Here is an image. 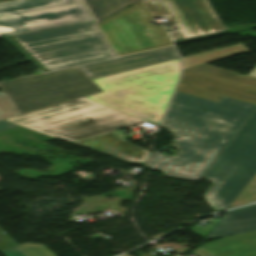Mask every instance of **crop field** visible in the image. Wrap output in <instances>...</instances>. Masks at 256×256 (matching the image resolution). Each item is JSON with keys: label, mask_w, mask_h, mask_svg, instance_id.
<instances>
[{"label": "crop field", "mask_w": 256, "mask_h": 256, "mask_svg": "<svg viewBox=\"0 0 256 256\" xmlns=\"http://www.w3.org/2000/svg\"><path fill=\"white\" fill-rule=\"evenodd\" d=\"M157 16L178 28L169 32L175 45L227 34L207 0H142L99 26L117 55L129 54L171 44L162 27H152Z\"/></svg>", "instance_id": "crop-field-1"}, {"label": "crop field", "mask_w": 256, "mask_h": 256, "mask_svg": "<svg viewBox=\"0 0 256 256\" xmlns=\"http://www.w3.org/2000/svg\"><path fill=\"white\" fill-rule=\"evenodd\" d=\"M255 110L227 97L216 103L175 92L162 127L180 141L225 148Z\"/></svg>", "instance_id": "crop-field-2"}, {"label": "crop field", "mask_w": 256, "mask_h": 256, "mask_svg": "<svg viewBox=\"0 0 256 256\" xmlns=\"http://www.w3.org/2000/svg\"><path fill=\"white\" fill-rule=\"evenodd\" d=\"M180 72L177 59L94 79L105 92L85 98L159 124Z\"/></svg>", "instance_id": "crop-field-3"}, {"label": "crop field", "mask_w": 256, "mask_h": 256, "mask_svg": "<svg viewBox=\"0 0 256 256\" xmlns=\"http://www.w3.org/2000/svg\"><path fill=\"white\" fill-rule=\"evenodd\" d=\"M3 38L44 72L116 57L94 22Z\"/></svg>", "instance_id": "crop-field-4"}, {"label": "crop field", "mask_w": 256, "mask_h": 256, "mask_svg": "<svg viewBox=\"0 0 256 256\" xmlns=\"http://www.w3.org/2000/svg\"><path fill=\"white\" fill-rule=\"evenodd\" d=\"M5 120L68 142L145 122L85 98Z\"/></svg>", "instance_id": "crop-field-5"}, {"label": "crop field", "mask_w": 256, "mask_h": 256, "mask_svg": "<svg viewBox=\"0 0 256 256\" xmlns=\"http://www.w3.org/2000/svg\"><path fill=\"white\" fill-rule=\"evenodd\" d=\"M256 174V111L203 175L214 184L205 193L213 209L230 206Z\"/></svg>", "instance_id": "crop-field-6"}, {"label": "crop field", "mask_w": 256, "mask_h": 256, "mask_svg": "<svg viewBox=\"0 0 256 256\" xmlns=\"http://www.w3.org/2000/svg\"><path fill=\"white\" fill-rule=\"evenodd\" d=\"M0 88L19 115L102 92L77 67L0 82Z\"/></svg>", "instance_id": "crop-field-7"}, {"label": "crop field", "mask_w": 256, "mask_h": 256, "mask_svg": "<svg viewBox=\"0 0 256 256\" xmlns=\"http://www.w3.org/2000/svg\"><path fill=\"white\" fill-rule=\"evenodd\" d=\"M94 21L81 0L0 3V36Z\"/></svg>", "instance_id": "crop-field-8"}, {"label": "crop field", "mask_w": 256, "mask_h": 256, "mask_svg": "<svg viewBox=\"0 0 256 256\" xmlns=\"http://www.w3.org/2000/svg\"><path fill=\"white\" fill-rule=\"evenodd\" d=\"M176 91L216 102L227 96L256 104V78L208 64L186 69Z\"/></svg>", "instance_id": "crop-field-9"}, {"label": "crop field", "mask_w": 256, "mask_h": 256, "mask_svg": "<svg viewBox=\"0 0 256 256\" xmlns=\"http://www.w3.org/2000/svg\"><path fill=\"white\" fill-rule=\"evenodd\" d=\"M175 157L162 155V160L154 169L163 175L199 180L223 151L221 148L196 144L173 142Z\"/></svg>", "instance_id": "crop-field-10"}, {"label": "crop field", "mask_w": 256, "mask_h": 256, "mask_svg": "<svg viewBox=\"0 0 256 256\" xmlns=\"http://www.w3.org/2000/svg\"><path fill=\"white\" fill-rule=\"evenodd\" d=\"M179 58L174 47L155 49L78 67L91 79Z\"/></svg>", "instance_id": "crop-field-11"}, {"label": "crop field", "mask_w": 256, "mask_h": 256, "mask_svg": "<svg viewBox=\"0 0 256 256\" xmlns=\"http://www.w3.org/2000/svg\"><path fill=\"white\" fill-rule=\"evenodd\" d=\"M122 138L124 135L113 131L73 143L131 164H144L149 151H145Z\"/></svg>", "instance_id": "crop-field-12"}, {"label": "crop field", "mask_w": 256, "mask_h": 256, "mask_svg": "<svg viewBox=\"0 0 256 256\" xmlns=\"http://www.w3.org/2000/svg\"><path fill=\"white\" fill-rule=\"evenodd\" d=\"M256 230V205L226 212L205 240Z\"/></svg>", "instance_id": "crop-field-13"}, {"label": "crop field", "mask_w": 256, "mask_h": 256, "mask_svg": "<svg viewBox=\"0 0 256 256\" xmlns=\"http://www.w3.org/2000/svg\"><path fill=\"white\" fill-rule=\"evenodd\" d=\"M253 242L251 244H247ZM214 256H256V231L230 236L200 246Z\"/></svg>", "instance_id": "crop-field-14"}, {"label": "crop field", "mask_w": 256, "mask_h": 256, "mask_svg": "<svg viewBox=\"0 0 256 256\" xmlns=\"http://www.w3.org/2000/svg\"><path fill=\"white\" fill-rule=\"evenodd\" d=\"M97 21H102L140 0H84Z\"/></svg>", "instance_id": "crop-field-15"}, {"label": "crop field", "mask_w": 256, "mask_h": 256, "mask_svg": "<svg viewBox=\"0 0 256 256\" xmlns=\"http://www.w3.org/2000/svg\"><path fill=\"white\" fill-rule=\"evenodd\" d=\"M241 44L184 57V68H190L193 66L204 64L212 60L235 56L240 53L249 51L244 46H242L243 44Z\"/></svg>", "instance_id": "crop-field-16"}, {"label": "crop field", "mask_w": 256, "mask_h": 256, "mask_svg": "<svg viewBox=\"0 0 256 256\" xmlns=\"http://www.w3.org/2000/svg\"><path fill=\"white\" fill-rule=\"evenodd\" d=\"M2 252L7 256H55L43 245L25 244Z\"/></svg>", "instance_id": "crop-field-17"}, {"label": "crop field", "mask_w": 256, "mask_h": 256, "mask_svg": "<svg viewBox=\"0 0 256 256\" xmlns=\"http://www.w3.org/2000/svg\"><path fill=\"white\" fill-rule=\"evenodd\" d=\"M18 113L15 111L13 106L10 104L3 92H0V130L18 126L2 119L17 116Z\"/></svg>", "instance_id": "crop-field-18"}, {"label": "crop field", "mask_w": 256, "mask_h": 256, "mask_svg": "<svg viewBox=\"0 0 256 256\" xmlns=\"http://www.w3.org/2000/svg\"><path fill=\"white\" fill-rule=\"evenodd\" d=\"M256 200V175L249 182V184L240 193L237 199L233 202L230 207H236L245 203L253 202ZM229 207V208H230Z\"/></svg>", "instance_id": "crop-field-19"}, {"label": "crop field", "mask_w": 256, "mask_h": 256, "mask_svg": "<svg viewBox=\"0 0 256 256\" xmlns=\"http://www.w3.org/2000/svg\"><path fill=\"white\" fill-rule=\"evenodd\" d=\"M14 246H18V244L0 230V250Z\"/></svg>", "instance_id": "crop-field-20"}, {"label": "crop field", "mask_w": 256, "mask_h": 256, "mask_svg": "<svg viewBox=\"0 0 256 256\" xmlns=\"http://www.w3.org/2000/svg\"><path fill=\"white\" fill-rule=\"evenodd\" d=\"M159 156L157 153L149 152L146 162L144 164L145 168H152L154 164L158 161Z\"/></svg>", "instance_id": "crop-field-21"}, {"label": "crop field", "mask_w": 256, "mask_h": 256, "mask_svg": "<svg viewBox=\"0 0 256 256\" xmlns=\"http://www.w3.org/2000/svg\"><path fill=\"white\" fill-rule=\"evenodd\" d=\"M193 254L197 256H213L199 247L196 249V251Z\"/></svg>", "instance_id": "crop-field-22"}, {"label": "crop field", "mask_w": 256, "mask_h": 256, "mask_svg": "<svg viewBox=\"0 0 256 256\" xmlns=\"http://www.w3.org/2000/svg\"><path fill=\"white\" fill-rule=\"evenodd\" d=\"M247 75H251V76L256 77V67L252 72L248 73Z\"/></svg>", "instance_id": "crop-field-23"}, {"label": "crop field", "mask_w": 256, "mask_h": 256, "mask_svg": "<svg viewBox=\"0 0 256 256\" xmlns=\"http://www.w3.org/2000/svg\"><path fill=\"white\" fill-rule=\"evenodd\" d=\"M141 256H155V255H151L149 253H143Z\"/></svg>", "instance_id": "crop-field-24"}, {"label": "crop field", "mask_w": 256, "mask_h": 256, "mask_svg": "<svg viewBox=\"0 0 256 256\" xmlns=\"http://www.w3.org/2000/svg\"><path fill=\"white\" fill-rule=\"evenodd\" d=\"M11 1V0H0V2Z\"/></svg>", "instance_id": "crop-field-25"}]
</instances>
